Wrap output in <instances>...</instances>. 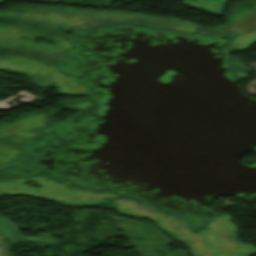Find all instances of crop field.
Listing matches in <instances>:
<instances>
[{
	"instance_id": "crop-field-2",
	"label": "crop field",
	"mask_w": 256,
	"mask_h": 256,
	"mask_svg": "<svg viewBox=\"0 0 256 256\" xmlns=\"http://www.w3.org/2000/svg\"><path fill=\"white\" fill-rule=\"evenodd\" d=\"M228 0H197L195 2L186 0L183 3L187 6L194 7L200 10H204L215 16L221 17V13ZM203 2V3H201ZM205 5V6H204Z\"/></svg>"
},
{
	"instance_id": "crop-field-5",
	"label": "crop field",
	"mask_w": 256,
	"mask_h": 256,
	"mask_svg": "<svg viewBox=\"0 0 256 256\" xmlns=\"http://www.w3.org/2000/svg\"><path fill=\"white\" fill-rule=\"evenodd\" d=\"M3 1L2 0H0V3H2Z\"/></svg>"
},
{
	"instance_id": "crop-field-1",
	"label": "crop field",
	"mask_w": 256,
	"mask_h": 256,
	"mask_svg": "<svg viewBox=\"0 0 256 256\" xmlns=\"http://www.w3.org/2000/svg\"><path fill=\"white\" fill-rule=\"evenodd\" d=\"M0 231L12 246L21 242H36L50 245L58 243L57 237H52V231L41 237L22 235L19 231L18 225L16 223H12L8 217H0Z\"/></svg>"
},
{
	"instance_id": "crop-field-3",
	"label": "crop field",
	"mask_w": 256,
	"mask_h": 256,
	"mask_svg": "<svg viewBox=\"0 0 256 256\" xmlns=\"http://www.w3.org/2000/svg\"><path fill=\"white\" fill-rule=\"evenodd\" d=\"M0 245H2V247H0V256L4 255V256H11V248L10 246L4 241V239L1 237L0 235Z\"/></svg>"
},
{
	"instance_id": "crop-field-4",
	"label": "crop field",
	"mask_w": 256,
	"mask_h": 256,
	"mask_svg": "<svg viewBox=\"0 0 256 256\" xmlns=\"http://www.w3.org/2000/svg\"><path fill=\"white\" fill-rule=\"evenodd\" d=\"M17 95L32 96V95L27 94L26 92H20V93H18ZM13 98H15V97H13ZM13 98H11V99H13ZM34 98H36V97L33 96V97L30 98V99H22L21 101H29V100H32V99H34ZM9 100H10V99H9ZM7 101H8V100H7ZM13 107H17V105L9 106V105L6 104L5 102H0V109H2V110L9 109V108H13Z\"/></svg>"
}]
</instances>
